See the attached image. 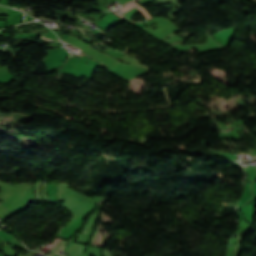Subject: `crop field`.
Masks as SVG:
<instances>
[{
    "instance_id": "obj_4",
    "label": "crop field",
    "mask_w": 256,
    "mask_h": 256,
    "mask_svg": "<svg viewBox=\"0 0 256 256\" xmlns=\"http://www.w3.org/2000/svg\"><path fill=\"white\" fill-rule=\"evenodd\" d=\"M112 12H113V11H112ZM113 13H114V12H113ZM115 14H116V13H115ZM117 15H118V14H117ZM119 15H121V14H119ZM119 15H118V16H119ZM121 16H122V15H121ZM121 16H120V17H121ZM122 18H123V17H122Z\"/></svg>"
},
{
    "instance_id": "obj_1",
    "label": "crop field",
    "mask_w": 256,
    "mask_h": 256,
    "mask_svg": "<svg viewBox=\"0 0 256 256\" xmlns=\"http://www.w3.org/2000/svg\"><path fill=\"white\" fill-rule=\"evenodd\" d=\"M135 5H137L135 2H130L127 5L121 7L119 10L123 13L129 10L130 8L134 7ZM135 7L138 8L148 19H150L149 15L146 13V11L143 8H141L139 5Z\"/></svg>"
},
{
    "instance_id": "obj_2",
    "label": "crop field",
    "mask_w": 256,
    "mask_h": 256,
    "mask_svg": "<svg viewBox=\"0 0 256 256\" xmlns=\"http://www.w3.org/2000/svg\"><path fill=\"white\" fill-rule=\"evenodd\" d=\"M60 241H61V239L56 238L55 241L53 242V244L49 247L50 250L53 249Z\"/></svg>"
},
{
    "instance_id": "obj_3",
    "label": "crop field",
    "mask_w": 256,
    "mask_h": 256,
    "mask_svg": "<svg viewBox=\"0 0 256 256\" xmlns=\"http://www.w3.org/2000/svg\"><path fill=\"white\" fill-rule=\"evenodd\" d=\"M85 246L84 245H81L79 251L77 254H82L83 253V250H84Z\"/></svg>"
}]
</instances>
